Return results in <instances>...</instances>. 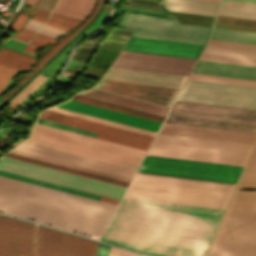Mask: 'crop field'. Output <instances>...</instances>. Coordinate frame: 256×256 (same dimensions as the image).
Masks as SVG:
<instances>
[{"mask_svg": "<svg viewBox=\"0 0 256 256\" xmlns=\"http://www.w3.org/2000/svg\"><path fill=\"white\" fill-rule=\"evenodd\" d=\"M223 212L123 197L100 240L159 256H205Z\"/></svg>", "mask_w": 256, "mask_h": 256, "instance_id": "obj_1", "label": "crop field"}, {"mask_svg": "<svg viewBox=\"0 0 256 256\" xmlns=\"http://www.w3.org/2000/svg\"><path fill=\"white\" fill-rule=\"evenodd\" d=\"M116 205L0 176V212L99 239Z\"/></svg>", "mask_w": 256, "mask_h": 256, "instance_id": "obj_2", "label": "crop field"}, {"mask_svg": "<svg viewBox=\"0 0 256 256\" xmlns=\"http://www.w3.org/2000/svg\"><path fill=\"white\" fill-rule=\"evenodd\" d=\"M231 184L136 173L125 196L225 209Z\"/></svg>", "mask_w": 256, "mask_h": 256, "instance_id": "obj_3", "label": "crop field"}, {"mask_svg": "<svg viewBox=\"0 0 256 256\" xmlns=\"http://www.w3.org/2000/svg\"><path fill=\"white\" fill-rule=\"evenodd\" d=\"M207 256H256V191H235Z\"/></svg>", "mask_w": 256, "mask_h": 256, "instance_id": "obj_4", "label": "crop field"}, {"mask_svg": "<svg viewBox=\"0 0 256 256\" xmlns=\"http://www.w3.org/2000/svg\"><path fill=\"white\" fill-rule=\"evenodd\" d=\"M27 142L137 169L146 151L35 124Z\"/></svg>", "mask_w": 256, "mask_h": 256, "instance_id": "obj_5", "label": "crop field"}, {"mask_svg": "<svg viewBox=\"0 0 256 256\" xmlns=\"http://www.w3.org/2000/svg\"><path fill=\"white\" fill-rule=\"evenodd\" d=\"M251 146L158 134L148 154L243 166Z\"/></svg>", "mask_w": 256, "mask_h": 256, "instance_id": "obj_6", "label": "crop field"}, {"mask_svg": "<svg viewBox=\"0 0 256 256\" xmlns=\"http://www.w3.org/2000/svg\"><path fill=\"white\" fill-rule=\"evenodd\" d=\"M165 122L256 133V111L176 101Z\"/></svg>", "mask_w": 256, "mask_h": 256, "instance_id": "obj_7", "label": "crop field"}, {"mask_svg": "<svg viewBox=\"0 0 256 256\" xmlns=\"http://www.w3.org/2000/svg\"><path fill=\"white\" fill-rule=\"evenodd\" d=\"M242 168L146 155L138 171L235 183Z\"/></svg>", "mask_w": 256, "mask_h": 256, "instance_id": "obj_8", "label": "crop field"}, {"mask_svg": "<svg viewBox=\"0 0 256 256\" xmlns=\"http://www.w3.org/2000/svg\"><path fill=\"white\" fill-rule=\"evenodd\" d=\"M121 27L137 29L133 35L205 45L211 28L177 24L173 20L124 13Z\"/></svg>", "mask_w": 256, "mask_h": 256, "instance_id": "obj_9", "label": "crop field"}, {"mask_svg": "<svg viewBox=\"0 0 256 256\" xmlns=\"http://www.w3.org/2000/svg\"><path fill=\"white\" fill-rule=\"evenodd\" d=\"M177 100L256 110V88L187 80Z\"/></svg>", "mask_w": 256, "mask_h": 256, "instance_id": "obj_10", "label": "crop field"}, {"mask_svg": "<svg viewBox=\"0 0 256 256\" xmlns=\"http://www.w3.org/2000/svg\"><path fill=\"white\" fill-rule=\"evenodd\" d=\"M0 170L34 177L77 189L101 194L115 199H121L125 187L9 159L1 158Z\"/></svg>", "mask_w": 256, "mask_h": 256, "instance_id": "obj_11", "label": "crop field"}, {"mask_svg": "<svg viewBox=\"0 0 256 256\" xmlns=\"http://www.w3.org/2000/svg\"><path fill=\"white\" fill-rule=\"evenodd\" d=\"M97 242L38 225L37 256H95Z\"/></svg>", "mask_w": 256, "mask_h": 256, "instance_id": "obj_12", "label": "crop field"}, {"mask_svg": "<svg viewBox=\"0 0 256 256\" xmlns=\"http://www.w3.org/2000/svg\"><path fill=\"white\" fill-rule=\"evenodd\" d=\"M36 225L0 216V256H35Z\"/></svg>", "mask_w": 256, "mask_h": 256, "instance_id": "obj_13", "label": "crop field"}, {"mask_svg": "<svg viewBox=\"0 0 256 256\" xmlns=\"http://www.w3.org/2000/svg\"><path fill=\"white\" fill-rule=\"evenodd\" d=\"M196 60L122 50L114 66L188 75Z\"/></svg>", "mask_w": 256, "mask_h": 256, "instance_id": "obj_14", "label": "crop field"}, {"mask_svg": "<svg viewBox=\"0 0 256 256\" xmlns=\"http://www.w3.org/2000/svg\"><path fill=\"white\" fill-rule=\"evenodd\" d=\"M95 89L119 94L171 108L180 90L153 86L101 81Z\"/></svg>", "mask_w": 256, "mask_h": 256, "instance_id": "obj_15", "label": "crop field"}, {"mask_svg": "<svg viewBox=\"0 0 256 256\" xmlns=\"http://www.w3.org/2000/svg\"><path fill=\"white\" fill-rule=\"evenodd\" d=\"M187 76L111 66L102 79L181 89Z\"/></svg>", "mask_w": 256, "mask_h": 256, "instance_id": "obj_16", "label": "crop field"}, {"mask_svg": "<svg viewBox=\"0 0 256 256\" xmlns=\"http://www.w3.org/2000/svg\"><path fill=\"white\" fill-rule=\"evenodd\" d=\"M204 46L131 36L123 49L198 59Z\"/></svg>", "mask_w": 256, "mask_h": 256, "instance_id": "obj_17", "label": "crop field"}, {"mask_svg": "<svg viewBox=\"0 0 256 256\" xmlns=\"http://www.w3.org/2000/svg\"><path fill=\"white\" fill-rule=\"evenodd\" d=\"M200 58L256 65V45L210 39Z\"/></svg>", "mask_w": 256, "mask_h": 256, "instance_id": "obj_18", "label": "crop field"}, {"mask_svg": "<svg viewBox=\"0 0 256 256\" xmlns=\"http://www.w3.org/2000/svg\"><path fill=\"white\" fill-rule=\"evenodd\" d=\"M56 107H60V108L96 116V117H100V118H104V119H108V120H112V121H116V122H120V123H124V124H128V125H132V126L156 131V132L158 131V129L161 125L160 122H156V121H152V120H148V119H144V118H140V117H136V116H132V115H128V114H124V113H120V112H116V111H112V110H108V109L72 101V100L68 101L65 104L56 106Z\"/></svg>", "mask_w": 256, "mask_h": 256, "instance_id": "obj_19", "label": "crop field"}, {"mask_svg": "<svg viewBox=\"0 0 256 256\" xmlns=\"http://www.w3.org/2000/svg\"><path fill=\"white\" fill-rule=\"evenodd\" d=\"M40 118L132 140V141H136V142H140L148 145H150L151 141L153 140V137L121 130L118 128L82 120L79 118H75V117H71V116H67V115H63V114H59V113H55L47 110L41 113Z\"/></svg>", "mask_w": 256, "mask_h": 256, "instance_id": "obj_20", "label": "crop field"}, {"mask_svg": "<svg viewBox=\"0 0 256 256\" xmlns=\"http://www.w3.org/2000/svg\"><path fill=\"white\" fill-rule=\"evenodd\" d=\"M77 95L117 104L120 106L132 108V109H136V110H140V111H144V112H148V113H152V114H156L164 117H166L169 111V108L145 103L142 101L122 97L119 95H115V94H111V93H107V92H103L95 89L84 91Z\"/></svg>", "mask_w": 256, "mask_h": 256, "instance_id": "obj_21", "label": "crop field"}, {"mask_svg": "<svg viewBox=\"0 0 256 256\" xmlns=\"http://www.w3.org/2000/svg\"><path fill=\"white\" fill-rule=\"evenodd\" d=\"M216 2L200 0H162L165 10L215 16L218 8Z\"/></svg>", "mask_w": 256, "mask_h": 256, "instance_id": "obj_22", "label": "crop field"}, {"mask_svg": "<svg viewBox=\"0 0 256 256\" xmlns=\"http://www.w3.org/2000/svg\"><path fill=\"white\" fill-rule=\"evenodd\" d=\"M94 2L95 0H59L53 13L83 20Z\"/></svg>", "mask_w": 256, "mask_h": 256, "instance_id": "obj_23", "label": "crop field"}, {"mask_svg": "<svg viewBox=\"0 0 256 256\" xmlns=\"http://www.w3.org/2000/svg\"><path fill=\"white\" fill-rule=\"evenodd\" d=\"M218 15L256 20V5L222 1Z\"/></svg>", "mask_w": 256, "mask_h": 256, "instance_id": "obj_24", "label": "crop field"}, {"mask_svg": "<svg viewBox=\"0 0 256 256\" xmlns=\"http://www.w3.org/2000/svg\"><path fill=\"white\" fill-rule=\"evenodd\" d=\"M0 175L12 177V178H15V179L35 183V184H38V185H42V186H46V187H50V188H54V189H58V190H62V191L82 195V196H86V197H90V198H94V199H98V200H100V198H101V196H99V195H95V194H91V193H87V192H83V191H79V190H75V189H71V188H67V187H63V186H59V185H56V184H52V183H48V182H44V181H40V180L28 178V177L16 175V174L4 172V171H0ZM101 201L109 202V203L116 204V205H118V203H119V200H115V199H111V198H107V197H103V196L101 198Z\"/></svg>", "mask_w": 256, "mask_h": 256, "instance_id": "obj_25", "label": "crop field"}, {"mask_svg": "<svg viewBox=\"0 0 256 256\" xmlns=\"http://www.w3.org/2000/svg\"><path fill=\"white\" fill-rule=\"evenodd\" d=\"M21 146H25V147H29V148H33V149H37V150H41V151H45V152H49V153L69 157V158H73V159H77V160H81V161H85V162H89V163H93V164H97V165H101V166H105V167H109V168L129 172V173H133V174L136 171L135 169H131V168H127V167H123V166H119V165H115V164H111V163H107V162H103V161H99V160H95V159H91V158L71 154V153H67V152H63V151H59V150H55V149H51V148H47V147H43V146L31 144V143H27V142L23 143Z\"/></svg>", "mask_w": 256, "mask_h": 256, "instance_id": "obj_26", "label": "crop field"}, {"mask_svg": "<svg viewBox=\"0 0 256 256\" xmlns=\"http://www.w3.org/2000/svg\"><path fill=\"white\" fill-rule=\"evenodd\" d=\"M235 189H256V145L252 148L247 164Z\"/></svg>", "mask_w": 256, "mask_h": 256, "instance_id": "obj_27", "label": "crop field"}, {"mask_svg": "<svg viewBox=\"0 0 256 256\" xmlns=\"http://www.w3.org/2000/svg\"><path fill=\"white\" fill-rule=\"evenodd\" d=\"M4 156L9 157V158H13V159H17V160H21V161H25V162H29V163H33V164H37V165H41V166H45V167H49V168H53V169H57V170H61V171H65V172H69V173H73V174H77V175H81V176H85V177H89V178H93V179H97V180H101V181H105V182H109V183H113V184H117V185H121V186H125V187H127V185H128V183H124V182H120V181H116V180H112V179L92 175V174H89V173H85V172H81V171H77V170H73V169H69V168H65V167H61V166H57V165H53V164H49V163H46V162H42V161H38V160H34V159L22 157V156L10 154V153H8Z\"/></svg>", "mask_w": 256, "mask_h": 256, "instance_id": "obj_28", "label": "crop field"}, {"mask_svg": "<svg viewBox=\"0 0 256 256\" xmlns=\"http://www.w3.org/2000/svg\"><path fill=\"white\" fill-rule=\"evenodd\" d=\"M37 123H41V124H45V125H49V126H53V127H57V128H61V129H65V130H69V131L89 135V136H93V137L98 136V133L82 130V129H79V128L59 124V123H56V122H52V121H48V120H44V119H40V118L37 121ZM98 138L113 141V142H117V143H121V144H125V145H129V146H133V147H137V148H141V149H145V150H147L148 147H149L147 145H143V144L127 141V140H122V139H118V138H114V137H110V136H106V135H102V134H99Z\"/></svg>", "mask_w": 256, "mask_h": 256, "instance_id": "obj_29", "label": "crop field"}, {"mask_svg": "<svg viewBox=\"0 0 256 256\" xmlns=\"http://www.w3.org/2000/svg\"><path fill=\"white\" fill-rule=\"evenodd\" d=\"M47 110L79 117L82 119L118 127L121 129L129 130V131H133V132H137V133H141V134H145V135H149V136H153V137H155V135H156V132H152V131H148V130H144V129H140V128H136V127H132V126H128V125H124V124H120V123H116V122H112V121H108V120H104V119H100V118H96V117H92V116H88V115H84V114H80V113H76V112H72V111H68V110H64V109H60V108H56V107H52Z\"/></svg>", "mask_w": 256, "mask_h": 256, "instance_id": "obj_30", "label": "crop field"}, {"mask_svg": "<svg viewBox=\"0 0 256 256\" xmlns=\"http://www.w3.org/2000/svg\"><path fill=\"white\" fill-rule=\"evenodd\" d=\"M211 38L256 43V33L214 28Z\"/></svg>", "mask_w": 256, "mask_h": 256, "instance_id": "obj_31", "label": "crop field"}, {"mask_svg": "<svg viewBox=\"0 0 256 256\" xmlns=\"http://www.w3.org/2000/svg\"><path fill=\"white\" fill-rule=\"evenodd\" d=\"M178 23L212 26L215 17L166 11Z\"/></svg>", "mask_w": 256, "mask_h": 256, "instance_id": "obj_32", "label": "crop field"}, {"mask_svg": "<svg viewBox=\"0 0 256 256\" xmlns=\"http://www.w3.org/2000/svg\"><path fill=\"white\" fill-rule=\"evenodd\" d=\"M10 153H14V154H18V155H22V156H26V157H30V158H34V159H38V160H42V161H46V162H49V163H53V164H57V165H61V166H65V167H69V168L89 172V173H92V174H96V175H100V176H104V177H108V178H112V179H116V180H120V181H124V182H128V183L130 182V179H126V178H122V177H118V176H114V175H110V174H106V173H102V172H98V171H94V170L74 166V165H71V164H67V163H63V162H59V161H55V160H51V159H47V158H43V157L31 155V154H27V153L15 151V150L11 151Z\"/></svg>", "mask_w": 256, "mask_h": 256, "instance_id": "obj_33", "label": "crop field"}, {"mask_svg": "<svg viewBox=\"0 0 256 256\" xmlns=\"http://www.w3.org/2000/svg\"><path fill=\"white\" fill-rule=\"evenodd\" d=\"M72 99L97 105V106H101V107H105V108H109V109H113V110H117V111H121V112H125V113H129V114H133V115H137V116H141V117H145V118H149V119H153V120H157V121H161V122H163L164 120L163 117H159V116H155V115H151V114H147V113H143V112H139V111L123 108V107H118V106H114V105H110V104H106V103H102V102H98V101H94V100H90V99H86L78 96H74Z\"/></svg>", "mask_w": 256, "mask_h": 256, "instance_id": "obj_34", "label": "crop field"}, {"mask_svg": "<svg viewBox=\"0 0 256 256\" xmlns=\"http://www.w3.org/2000/svg\"><path fill=\"white\" fill-rule=\"evenodd\" d=\"M100 1H98L97 6L95 8V10L93 11V13L91 14V16L72 34H70L69 36L63 38L53 49H51L45 56L44 58L37 64L36 68L29 74L27 75L24 80L15 88L13 89L6 97H4L1 102L3 100H5L14 90H16L27 78H29L49 57H51L63 44H65L82 26H84L94 15V13L96 12V10L98 9L99 5H100Z\"/></svg>", "mask_w": 256, "mask_h": 256, "instance_id": "obj_35", "label": "crop field"}, {"mask_svg": "<svg viewBox=\"0 0 256 256\" xmlns=\"http://www.w3.org/2000/svg\"><path fill=\"white\" fill-rule=\"evenodd\" d=\"M37 77V76H36ZM47 77L39 75L22 91H20L8 104L11 106V111L17 107L28 95H30Z\"/></svg>", "mask_w": 256, "mask_h": 256, "instance_id": "obj_36", "label": "crop field"}, {"mask_svg": "<svg viewBox=\"0 0 256 256\" xmlns=\"http://www.w3.org/2000/svg\"><path fill=\"white\" fill-rule=\"evenodd\" d=\"M16 71L17 68L0 63V94Z\"/></svg>", "mask_w": 256, "mask_h": 256, "instance_id": "obj_37", "label": "crop field"}, {"mask_svg": "<svg viewBox=\"0 0 256 256\" xmlns=\"http://www.w3.org/2000/svg\"><path fill=\"white\" fill-rule=\"evenodd\" d=\"M0 62L28 71L32 64L0 54Z\"/></svg>", "mask_w": 256, "mask_h": 256, "instance_id": "obj_38", "label": "crop field"}, {"mask_svg": "<svg viewBox=\"0 0 256 256\" xmlns=\"http://www.w3.org/2000/svg\"><path fill=\"white\" fill-rule=\"evenodd\" d=\"M0 53L15 57L17 59H20V60H23V61H26V62H29L32 64H34L35 61L37 60V58L31 57V56H28V55H25V54H22V53H19V52H16V51L4 48V47H2V49L0 50Z\"/></svg>", "mask_w": 256, "mask_h": 256, "instance_id": "obj_39", "label": "crop field"}, {"mask_svg": "<svg viewBox=\"0 0 256 256\" xmlns=\"http://www.w3.org/2000/svg\"><path fill=\"white\" fill-rule=\"evenodd\" d=\"M50 19L59 21L61 23H64L73 27H75L77 24L81 22V20H77V19H73V18H69V17H65V16L53 14V13L50 16Z\"/></svg>", "mask_w": 256, "mask_h": 256, "instance_id": "obj_40", "label": "crop field"}, {"mask_svg": "<svg viewBox=\"0 0 256 256\" xmlns=\"http://www.w3.org/2000/svg\"><path fill=\"white\" fill-rule=\"evenodd\" d=\"M34 34L35 32L22 28L19 32H17L14 36H12V38L29 42L31 38L34 36Z\"/></svg>", "mask_w": 256, "mask_h": 256, "instance_id": "obj_41", "label": "crop field"}, {"mask_svg": "<svg viewBox=\"0 0 256 256\" xmlns=\"http://www.w3.org/2000/svg\"><path fill=\"white\" fill-rule=\"evenodd\" d=\"M125 3L131 4V5H138V6H145V7H151V8H159L158 2L155 1H148V0H127Z\"/></svg>", "mask_w": 256, "mask_h": 256, "instance_id": "obj_42", "label": "crop field"}, {"mask_svg": "<svg viewBox=\"0 0 256 256\" xmlns=\"http://www.w3.org/2000/svg\"><path fill=\"white\" fill-rule=\"evenodd\" d=\"M55 39H52L50 37L44 36L42 34L37 33L34 38L31 40V42L40 44L45 46L47 43H53Z\"/></svg>", "mask_w": 256, "mask_h": 256, "instance_id": "obj_43", "label": "crop field"}, {"mask_svg": "<svg viewBox=\"0 0 256 256\" xmlns=\"http://www.w3.org/2000/svg\"><path fill=\"white\" fill-rule=\"evenodd\" d=\"M58 0H40L37 8L52 11Z\"/></svg>", "mask_w": 256, "mask_h": 256, "instance_id": "obj_44", "label": "crop field"}, {"mask_svg": "<svg viewBox=\"0 0 256 256\" xmlns=\"http://www.w3.org/2000/svg\"><path fill=\"white\" fill-rule=\"evenodd\" d=\"M29 15L27 14H22V13H19V15L17 16V18L15 19V21L13 22L12 26L10 29H13V30H18L22 25L25 24L27 18H28Z\"/></svg>", "mask_w": 256, "mask_h": 256, "instance_id": "obj_45", "label": "crop field"}, {"mask_svg": "<svg viewBox=\"0 0 256 256\" xmlns=\"http://www.w3.org/2000/svg\"><path fill=\"white\" fill-rule=\"evenodd\" d=\"M121 10L126 11V12L138 13V14H145V15H151V16H157V17L170 18L168 15L158 14V13L144 12V11H138V10L125 9V8H121ZM170 19H172V18H170Z\"/></svg>", "mask_w": 256, "mask_h": 256, "instance_id": "obj_46", "label": "crop field"}, {"mask_svg": "<svg viewBox=\"0 0 256 256\" xmlns=\"http://www.w3.org/2000/svg\"><path fill=\"white\" fill-rule=\"evenodd\" d=\"M129 252L115 247L110 248L109 256H128Z\"/></svg>", "mask_w": 256, "mask_h": 256, "instance_id": "obj_47", "label": "crop field"}, {"mask_svg": "<svg viewBox=\"0 0 256 256\" xmlns=\"http://www.w3.org/2000/svg\"><path fill=\"white\" fill-rule=\"evenodd\" d=\"M109 248L110 246L99 243L96 256H108Z\"/></svg>", "mask_w": 256, "mask_h": 256, "instance_id": "obj_48", "label": "crop field"}, {"mask_svg": "<svg viewBox=\"0 0 256 256\" xmlns=\"http://www.w3.org/2000/svg\"><path fill=\"white\" fill-rule=\"evenodd\" d=\"M95 58H100V59H104V60H109V61H112V59H107V58H101V57H96L94 56ZM93 58L94 60H99V61H103V62H108L110 63L109 61H104V60H100V59H95ZM92 60L90 65H93V66H99V67H104V68H107L108 67V63H103V62H99V61H94Z\"/></svg>", "mask_w": 256, "mask_h": 256, "instance_id": "obj_49", "label": "crop field"}, {"mask_svg": "<svg viewBox=\"0 0 256 256\" xmlns=\"http://www.w3.org/2000/svg\"><path fill=\"white\" fill-rule=\"evenodd\" d=\"M46 24H49V25H52V26H55V27H58V28H61V29L67 30V31H69L73 28V27L58 23V22L50 20V19L47 20Z\"/></svg>", "mask_w": 256, "mask_h": 256, "instance_id": "obj_50", "label": "crop field"}, {"mask_svg": "<svg viewBox=\"0 0 256 256\" xmlns=\"http://www.w3.org/2000/svg\"><path fill=\"white\" fill-rule=\"evenodd\" d=\"M41 47L43 46L29 42L28 45L25 47L24 51L34 54L36 50Z\"/></svg>", "mask_w": 256, "mask_h": 256, "instance_id": "obj_51", "label": "crop field"}, {"mask_svg": "<svg viewBox=\"0 0 256 256\" xmlns=\"http://www.w3.org/2000/svg\"><path fill=\"white\" fill-rule=\"evenodd\" d=\"M42 29L52 31V32H55V33H58V34H61V35L67 33V31H64V30H61V29H58V28H55V27H52V26H49V25H46V24L43 25Z\"/></svg>", "mask_w": 256, "mask_h": 256, "instance_id": "obj_52", "label": "crop field"}, {"mask_svg": "<svg viewBox=\"0 0 256 256\" xmlns=\"http://www.w3.org/2000/svg\"><path fill=\"white\" fill-rule=\"evenodd\" d=\"M114 44H115V43H114ZM114 44H109V43L102 42V44H101V45H102V46L113 47V48H119V49H121V48H122V46H120L121 44H120V45H114ZM102 46H100L99 48L120 51L119 49H113V48L102 47Z\"/></svg>", "mask_w": 256, "mask_h": 256, "instance_id": "obj_53", "label": "crop field"}, {"mask_svg": "<svg viewBox=\"0 0 256 256\" xmlns=\"http://www.w3.org/2000/svg\"><path fill=\"white\" fill-rule=\"evenodd\" d=\"M31 19H34V20H37L39 22H42L44 23V21L46 20V17H43V16H40V15H37V14H32L31 16Z\"/></svg>", "mask_w": 256, "mask_h": 256, "instance_id": "obj_54", "label": "crop field"}, {"mask_svg": "<svg viewBox=\"0 0 256 256\" xmlns=\"http://www.w3.org/2000/svg\"><path fill=\"white\" fill-rule=\"evenodd\" d=\"M226 1H234V2H242V3L256 4V0H226Z\"/></svg>", "mask_w": 256, "mask_h": 256, "instance_id": "obj_55", "label": "crop field"}, {"mask_svg": "<svg viewBox=\"0 0 256 256\" xmlns=\"http://www.w3.org/2000/svg\"><path fill=\"white\" fill-rule=\"evenodd\" d=\"M86 42L88 43H96V44H99L100 42H97V41H91V40H87ZM88 43H82L81 45L83 46H93V47H98V45L96 44H88Z\"/></svg>", "mask_w": 256, "mask_h": 256, "instance_id": "obj_56", "label": "crop field"}, {"mask_svg": "<svg viewBox=\"0 0 256 256\" xmlns=\"http://www.w3.org/2000/svg\"><path fill=\"white\" fill-rule=\"evenodd\" d=\"M34 13H37V14H40V15H43L46 17H48V15H49V12H45V11H41V10H37V9H35Z\"/></svg>", "mask_w": 256, "mask_h": 256, "instance_id": "obj_57", "label": "crop field"}, {"mask_svg": "<svg viewBox=\"0 0 256 256\" xmlns=\"http://www.w3.org/2000/svg\"><path fill=\"white\" fill-rule=\"evenodd\" d=\"M97 56H103V57H110V58H115L114 55H109V54H105V53H100V52H96Z\"/></svg>", "mask_w": 256, "mask_h": 256, "instance_id": "obj_58", "label": "crop field"}, {"mask_svg": "<svg viewBox=\"0 0 256 256\" xmlns=\"http://www.w3.org/2000/svg\"><path fill=\"white\" fill-rule=\"evenodd\" d=\"M28 24L35 25V26H38V27H40L42 25V23L36 22L34 20H31V19L29 20Z\"/></svg>", "mask_w": 256, "mask_h": 256, "instance_id": "obj_59", "label": "crop field"}, {"mask_svg": "<svg viewBox=\"0 0 256 256\" xmlns=\"http://www.w3.org/2000/svg\"><path fill=\"white\" fill-rule=\"evenodd\" d=\"M36 1H37V0H26V1H25V4H28V5L33 6V7H34V6H35V4H36Z\"/></svg>", "mask_w": 256, "mask_h": 256, "instance_id": "obj_60", "label": "crop field"}, {"mask_svg": "<svg viewBox=\"0 0 256 256\" xmlns=\"http://www.w3.org/2000/svg\"><path fill=\"white\" fill-rule=\"evenodd\" d=\"M100 52H105V53H109V54H114L117 55L118 52L116 51H110V50H103V49H99Z\"/></svg>", "mask_w": 256, "mask_h": 256, "instance_id": "obj_61", "label": "crop field"}, {"mask_svg": "<svg viewBox=\"0 0 256 256\" xmlns=\"http://www.w3.org/2000/svg\"><path fill=\"white\" fill-rule=\"evenodd\" d=\"M111 33H115V34H125V35H130L131 33L129 32H123V31H117V30H113Z\"/></svg>", "mask_w": 256, "mask_h": 256, "instance_id": "obj_62", "label": "crop field"}, {"mask_svg": "<svg viewBox=\"0 0 256 256\" xmlns=\"http://www.w3.org/2000/svg\"><path fill=\"white\" fill-rule=\"evenodd\" d=\"M129 256H143V255H139V254H135V253L130 252Z\"/></svg>", "mask_w": 256, "mask_h": 256, "instance_id": "obj_63", "label": "crop field"}, {"mask_svg": "<svg viewBox=\"0 0 256 256\" xmlns=\"http://www.w3.org/2000/svg\"><path fill=\"white\" fill-rule=\"evenodd\" d=\"M208 1H216V2H219V0H208Z\"/></svg>", "mask_w": 256, "mask_h": 256, "instance_id": "obj_64", "label": "crop field"}]
</instances>
